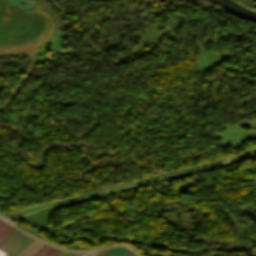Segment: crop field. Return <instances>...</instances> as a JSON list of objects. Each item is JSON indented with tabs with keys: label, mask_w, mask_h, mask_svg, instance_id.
Masks as SVG:
<instances>
[{
	"label": "crop field",
	"mask_w": 256,
	"mask_h": 256,
	"mask_svg": "<svg viewBox=\"0 0 256 256\" xmlns=\"http://www.w3.org/2000/svg\"><path fill=\"white\" fill-rule=\"evenodd\" d=\"M33 241L34 239L16 230L8 238H6L2 243H0V247L17 255L19 252H21L25 247H27Z\"/></svg>",
	"instance_id": "obj_1"
},
{
	"label": "crop field",
	"mask_w": 256,
	"mask_h": 256,
	"mask_svg": "<svg viewBox=\"0 0 256 256\" xmlns=\"http://www.w3.org/2000/svg\"><path fill=\"white\" fill-rule=\"evenodd\" d=\"M59 252H60V250L45 244L32 256H55Z\"/></svg>",
	"instance_id": "obj_2"
},
{
	"label": "crop field",
	"mask_w": 256,
	"mask_h": 256,
	"mask_svg": "<svg viewBox=\"0 0 256 256\" xmlns=\"http://www.w3.org/2000/svg\"><path fill=\"white\" fill-rule=\"evenodd\" d=\"M43 245L44 243L35 240L17 256H31L35 251H37Z\"/></svg>",
	"instance_id": "obj_3"
},
{
	"label": "crop field",
	"mask_w": 256,
	"mask_h": 256,
	"mask_svg": "<svg viewBox=\"0 0 256 256\" xmlns=\"http://www.w3.org/2000/svg\"><path fill=\"white\" fill-rule=\"evenodd\" d=\"M129 251H130L129 249L123 246H119V247L111 248L103 256H124Z\"/></svg>",
	"instance_id": "obj_4"
},
{
	"label": "crop field",
	"mask_w": 256,
	"mask_h": 256,
	"mask_svg": "<svg viewBox=\"0 0 256 256\" xmlns=\"http://www.w3.org/2000/svg\"><path fill=\"white\" fill-rule=\"evenodd\" d=\"M16 229L13 227H9L6 229L1 235H0V242H2L6 237H8L12 232H14Z\"/></svg>",
	"instance_id": "obj_5"
},
{
	"label": "crop field",
	"mask_w": 256,
	"mask_h": 256,
	"mask_svg": "<svg viewBox=\"0 0 256 256\" xmlns=\"http://www.w3.org/2000/svg\"><path fill=\"white\" fill-rule=\"evenodd\" d=\"M10 225L5 223L4 221L0 220V233H2L6 228H8Z\"/></svg>",
	"instance_id": "obj_6"
},
{
	"label": "crop field",
	"mask_w": 256,
	"mask_h": 256,
	"mask_svg": "<svg viewBox=\"0 0 256 256\" xmlns=\"http://www.w3.org/2000/svg\"><path fill=\"white\" fill-rule=\"evenodd\" d=\"M110 248H108V249H103V250H101V251H99L97 254H95L94 256H101V255H103L107 250H109Z\"/></svg>",
	"instance_id": "obj_7"
},
{
	"label": "crop field",
	"mask_w": 256,
	"mask_h": 256,
	"mask_svg": "<svg viewBox=\"0 0 256 256\" xmlns=\"http://www.w3.org/2000/svg\"><path fill=\"white\" fill-rule=\"evenodd\" d=\"M96 252H98V251H96ZM96 252L85 253L83 256H93Z\"/></svg>",
	"instance_id": "obj_8"
},
{
	"label": "crop field",
	"mask_w": 256,
	"mask_h": 256,
	"mask_svg": "<svg viewBox=\"0 0 256 256\" xmlns=\"http://www.w3.org/2000/svg\"><path fill=\"white\" fill-rule=\"evenodd\" d=\"M85 252H82V253H75L76 255H74V256H81L82 254H84Z\"/></svg>",
	"instance_id": "obj_9"
},
{
	"label": "crop field",
	"mask_w": 256,
	"mask_h": 256,
	"mask_svg": "<svg viewBox=\"0 0 256 256\" xmlns=\"http://www.w3.org/2000/svg\"><path fill=\"white\" fill-rule=\"evenodd\" d=\"M135 253L130 252L129 254H127L126 256H133Z\"/></svg>",
	"instance_id": "obj_10"
},
{
	"label": "crop field",
	"mask_w": 256,
	"mask_h": 256,
	"mask_svg": "<svg viewBox=\"0 0 256 256\" xmlns=\"http://www.w3.org/2000/svg\"><path fill=\"white\" fill-rule=\"evenodd\" d=\"M134 256H137L136 254Z\"/></svg>",
	"instance_id": "obj_11"
}]
</instances>
